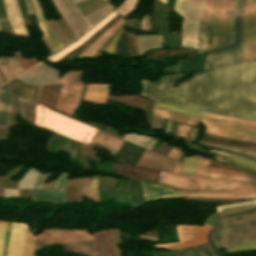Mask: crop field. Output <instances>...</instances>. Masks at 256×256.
<instances>
[{
  "label": "crop field",
  "mask_w": 256,
  "mask_h": 256,
  "mask_svg": "<svg viewBox=\"0 0 256 256\" xmlns=\"http://www.w3.org/2000/svg\"><path fill=\"white\" fill-rule=\"evenodd\" d=\"M126 22V21H125Z\"/></svg>",
  "instance_id": "a0ae1fb6"
},
{
  "label": "crop field",
  "mask_w": 256,
  "mask_h": 256,
  "mask_svg": "<svg viewBox=\"0 0 256 256\" xmlns=\"http://www.w3.org/2000/svg\"><path fill=\"white\" fill-rule=\"evenodd\" d=\"M193 248L198 252L200 256H216L212 247L209 245V242L193 246Z\"/></svg>",
  "instance_id": "b80d0937"
},
{
  "label": "crop field",
  "mask_w": 256,
  "mask_h": 256,
  "mask_svg": "<svg viewBox=\"0 0 256 256\" xmlns=\"http://www.w3.org/2000/svg\"><path fill=\"white\" fill-rule=\"evenodd\" d=\"M26 6H27L28 14L31 15L32 14V10H31V6H30V3H29V0H26Z\"/></svg>",
  "instance_id": "c3a83c6f"
},
{
  "label": "crop field",
  "mask_w": 256,
  "mask_h": 256,
  "mask_svg": "<svg viewBox=\"0 0 256 256\" xmlns=\"http://www.w3.org/2000/svg\"><path fill=\"white\" fill-rule=\"evenodd\" d=\"M2 84H4V83H3V81H2V79H1V77H0V86H1Z\"/></svg>",
  "instance_id": "1f1604b0"
},
{
  "label": "crop field",
  "mask_w": 256,
  "mask_h": 256,
  "mask_svg": "<svg viewBox=\"0 0 256 256\" xmlns=\"http://www.w3.org/2000/svg\"><path fill=\"white\" fill-rule=\"evenodd\" d=\"M9 23L15 34L27 35L16 0H3Z\"/></svg>",
  "instance_id": "4a817a6b"
},
{
  "label": "crop field",
  "mask_w": 256,
  "mask_h": 256,
  "mask_svg": "<svg viewBox=\"0 0 256 256\" xmlns=\"http://www.w3.org/2000/svg\"><path fill=\"white\" fill-rule=\"evenodd\" d=\"M154 106L159 107V108H163V109H167V110H171V111H175V112H179V113H183V114H187V115H191V116H195V117H199V118H201V116L203 114V113H199V112H195V111L175 107V106H172V105H168V104L158 102V101L155 102Z\"/></svg>",
  "instance_id": "1d83c4d3"
},
{
  "label": "crop field",
  "mask_w": 256,
  "mask_h": 256,
  "mask_svg": "<svg viewBox=\"0 0 256 256\" xmlns=\"http://www.w3.org/2000/svg\"><path fill=\"white\" fill-rule=\"evenodd\" d=\"M213 0H204L200 21H199V37L200 51L209 49V20L211 16Z\"/></svg>",
  "instance_id": "d9b57169"
},
{
  "label": "crop field",
  "mask_w": 256,
  "mask_h": 256,
  "mask_svg": "<svg viewBox=\"0 0 256 256\" xmlns=\"http://www.w3.org/2000/svg\"><path fill=\"white\" fill-rule=\"evenodd\" d=\"M122 25L108 38V40L97 50V52L92 57L99 58L101 56V54L104 52L105 48L108 46L110 41L118 33V31L122 28Z\"/></svg>",
  "instance_id": "25e5ab78"
},
{
  "label": "crop field",
  "mask_w": 256,
  "mask_h": 256,
  "mask_svg": "<svg viewBox=\"0 0 256 256\" xmlns=\"http://www.w3.org/2000/svg\"><path fill=\"white\" fill-rule=\"evenodd\" d=\"M198 132H199V129H196V128L193 129L192 134H191V136H190V138H189V141H188V143H187L188 146H189V144H190L191 141H194V140H195V138H196L197 135H198ZM191 143H192V142H191Z\"/></svg>",
  "instance_id": "db79e9e6"
},
{
  "label": "crop field",
  "mask_w": 256,
  "mask_h": 256,
  "mask_svg": "<svg viewBox=\"0 0 256 256\" xmlns=\"http://www.w3.org/2000/svg\"><path fill=\"white\" fill-rule=\"evenodd\" d=\"M254 240H256V236L241 238V239L229 241L227 243L216 246V249L219 250V249L227 248V247H230V246H233V245H236V244H240V243H244V242H248V241H254Z\"/></svg>",
  "instance_id": "03da06ac"
},
{
  "label": "crop field",
  "mask_w": 256,
  "mask_h": 256,
  "mask_svg": "<svg viewBox=\"0 0 256 256\" xmlns=\"http://www.w3.org/2000/svg\"><path fill=\"white\" fill-rule=\"evenodd\" d=\"M189 128V126H183L179 124L175 136L178 138H183V140L185 141L189 132Z\"/></svg>",
  "instance_id": "73cf0c24"
},
{
  "label": "crop field",
  "mask_w": 256,
  "mask_h": 256,
  "mask_svg": "<svg viewBox=\"0 0 256 256\" xmlns=\"http://www.w3.org/2000/svg\"><path fill=\"white\" fill-rule=\"evenodd\" d=\"M80 121H81V120H80ZM82 122H84V121H82ZM85 123H87V124H89V125H92V126H94V127H97V128H99V129L103 130V128H102V127H100V126H98V125L94 124V123H93V121L85 122ZM95 123H97V122H95ZM97 124H99V125H101V126H103V127H104V125H102V124H100V123H97Z\"/></svg>",
  "instance_id": "c39391a2"
},
{
  "label": "crop field",
  "mask_w": 256,
  "mask_h": 256,
  "mask_svg": "<svg viewBox=\"0 0 256 256\" xmlns=\"http://www.w3.org/2000/svg\"><path fill=\"white\" fill-rule=\"evenodd\" d=\"M106 97H107V96L85 94L83 100L89 101V102H92V103H101V104H105Z\"/></svg>",
  "instance_id": "425ffa30"
},
{
  "label": "crop field",
  "mask_w": 256,
  "mask_h": 256,
  "mask_svg": "<svg viewBox=\"0 0 256 256\" xmlns=\"http://www.w3.org/2000/svg\"><path fill=\"white\" fill-rule=\"evenodd\" d=\"M35 125L89 143L96 129L37 105Z\"/></svg>",
  "instance_id": "f4fd0767"
},
{
  "label": "crop field",
  "mask_w": 256,
  "mask_h": 256,
  "mask_svg": "<svg viewBox=\"0 0 256 256\" xmlns=\"http://www.w3.org/2000/svg\"><path fill=\"white\" fill-rule=\"evenodd\" d=\"M122 143L123 140L97 130L90 145L104 147L112 154H116Z\"/></svg>",
  "instance_id": "214f88e0"
},
{
  "label": "crop field",
  "mask_w": 256,
  "mask_h": 256,
  "mask_svg": "<svg viewBox=\"0 0 256 256\" xmlns=\"http://www.w3.org/2000/svg\"><path fill=\"white\" fill-rule=\"evenodd\" d=\"M115 15H116V13H114V12L109 14L105 19H103L99 24H97L93 29H91L87 34H85L83 37H81L77 42L75 41L76 43L59 51L58 53H56L55 55L50 57L48 60L53 61V60L65 55L66 53H68L70 50H72L74 47H76L78 44H80L82 41H84L87 37H89L92 33H94L97 29H99L101 26H103L105 23H107Z\"/></svg>",
  "instance_id": "730fd06b"
},
{
  "label": "crop field",
  "mask_w": 256,
  "mask_h": 256,
  "mask_svg": "<svg viewBox=\"0 0 256 256\" xmlns=\"http://www.w3.org/2000/svg\"><path fill=\"white\" fill-rule=\"evenodd\" d=\"M245 0H238L233 20L234 43L204 52V70L241 63V20Z\"/></svg>",
  "instance_id": "412701ff"
},
{
  "label": "crop field",
  "mask_w": 256,
  "mask_h": 256,
  "mask_svg": "<svg viewBox=\"0 0 256 256\" xmlns=\"http://www.w3.org/2000/svg\"><path fill=\"white\" fill-rule=\"evenodd\" d=\"M8 91L29 100L34 90L25 88H15L8 89Z\"/></svg>",
  "instance_id": "5d738f31"
},
{
  "label": "crop field",
  "mask_w": 256,
  "mask_h": 256,
  "mask_svg": "<svg viewBox=\"0 0 256 256\" xmlns=\"http://www.w3.org/2000/svg\"><path fill=\"white\" fill-rule=\"evenodd\" d=\"M182 74L141 80V95L207 113L256 120V61L221 67L170 86Z\"/></svg>",
  "instance_id": "8a807250"
},
{
  "label": "crop field",
  "mask_w": 256,
  "mask_h": 256,
  "mask_svg": "<svg viewBox=\"0 0 256 256\" xmlns=\"http://www.w3.org/2000/svg\"><path fill=\"white\" fill-rule=\"evenodd\" d=\"M122 29L119 31V33L114 37V39L111 41V43L109 44V46L106 48L105 51L109 52L110 54L114 55V47H115V43L117 38L119 37L120 33H121Z\"/></svg>",
  "instance_id": "0fb4a251"
},
{
  "label": "crop field",
  "mask_w": 256,
  "mask_h": 256,
  "mask_svg": "<svg viewBox=\"0 0 256 256\" xmlns=\"http://www.w3.org/2000/svg\"><path fill=\"white\" fill-rule=\"evenodd\" d=\"M91 200L99 202L97 190L90 189Z\"/></svg>",
  "instance_id": "7b73153f"
},
{
  "label": "crop field",
  "mask_w": 256,
  "mask_h": 256,
  "mask_svg": "<svg viewBox=\"0 0 256 256\" xmlns=\"http://www.w3.org/2000/svg\"><path fill=\"white\" fill-rule=\"evenodd\" d=\"M208 160L209 159H206L202 156L200 157L199 164H198L197 170H196L194 175L207 176V177L226 179V180H235V181H245V182H254V183H256V179H248V178H240V177H232V176H224V175L204 173L206 165L208 163Z\"/></svg>",
  "instance_id": "4177f3b9"
},
{
  "label": "crop field",
  "mask_w": 256,
  "mask_h": 256,
  "mask_svg": "<svg viewBox=\"0 0 256 256\" xmlns=\"http://www.w3.org/2000/svg\"><path fill=\"white\" fill-rule=\"evenodd\" d=\"M181 164L172 173L161 171L158 183L174 188L185 196L214 198L256 197V185L180 175Z\"/></svg>",
  "instance_id": "ac0d7876"
},
{
  "label": "crop field",
  "mask_w": 256,
  "mask_h": 256,
  "mask_svg": "<svg viewBox=\"0 0 256 256\" xmlns=\"http://www.w3.org/2000/svg\"><path fill=\"white\" fill-rule=\"evenodd\" d=\"M252 235H256V206L219 214L209 237L216 246L229 240Z\"/></svg>",
  "instance_id": "34b2d1b8"
},
{
  "label": "crop field",
  "mask_w": 256,
  "mask_h": 256,
  "mask_svg": "<svg viewBox=\"0 0 256 256\" xmlns=\"http://www.w3.org/2000/svg\"><path fill=\"white\" fill-rule=\"evenodd\" d=\"M251 205H256V200L235 203V204L221 205V206H217L216 209H217V212H220V211H224V210L247 207V206H251Z\"/></svg>",
  "instance_id": "e1f06a70"
},
{
  "label": "crop field",
  "mask_w": 256,
  "mask_h": 256,
  "mask_svg": "<svg viewBox=\"0 0 256 256\" xmlns=\"http://www.w3.org/2000/svg\"><path fill=\"white\" fill-rule=\"evenodd\" d=\"M185 3H186V0H176L173 11H175L180 16H182L184 7H185Z\"/></svg>",
  "instance_id": "1f2cbd36"
},
{
  "label": "crop field",
  "mask_w": 256,
  "mask_h": 256,
  "mask_svg": "<svg viewBox=\"0 0 256 256\" xmlns=\"http://www.w3.org/2000/svg\"><path fill=\"white\" fill-rule=\"evenodd\" d=\"M110 85L88 84L85 93L107 94Z\"/></svg>",
  "instance_id": "0bd39190"
},
{
  "label": "crop field",
  "mask_w": 256,
  "mask_h": 256,
  "mask_svg": "<svg viewBox=\"0 0 256 256\" xmlns=\"http://www.w3.org/2000/svg\"><path fill=\"white\" fill-rule=\"evenodd\" d=\"M141 30H150V16L149 14H145L142 23H141Z\"/></svg>",
  "instance_id": "dbb93151"
},
{
  "label": "crop field",
  "mask_w": 256,
  "mask_h": 256,
  "mask_svg": "<svg viewBox=\"0 0 256 256\" xmlns=\"http://www.w3.org/2000/svg\"><path fill=\"white\" fill-rule=\"evenodd\" d=\"M35 238L27 233L24 256H32Z\"/></svg>",
  "instance_id": "b54c1fbb"
},
{
  "label": "crop field",
  "mask_w": 256,
  "mask_h": 256,
  "mask_svg": "<svg viewBox=\"0 0 256 256\" xmlns=\"http://www.w3.org/2000/svg\"><path fill=\"white\" fill-rule=\"evenodd\" d=\"M85 71H71L62 78V89L56 105V110L71 115L75 108L83 86L82 74Z\"/></svg>",
  "instance_id": "d8731c3e"
},
{
  "label": "crop field",
  "mask_w": 256,
  "mask_h": 256,
  "mask_svg": "<svg viewBox=\"0 0 256 256\" xmlns=\"http://www.w3.org/2000/svg\"><path fill=\"white\" fill-rule=\"evenodd\" d=\"M18 196V191L13 189H4V197Z\"/></svg>",
  "instance_id": "0765c3eb"
},
{
  "label": "crop field",
  "mask_w": 256,
  "mask_h": 256,
  "mask_svg": "<svg viewBox=\"0 0 256 256\" xmlns=\"http://www.w3.org/2000/svg\"><path fill=\"white\" fill-rule=\"evenodd\" d=\"M205 172L224 174V175H232V176H240V177H248V178H256L255 175H252V174H249L246 172H237V171L223 170V169L210 168V167H207Z\"/></svg>",
  "instance_id": "d32e631a"
},
{
  "label": "crop field",
  "mask_w": 256,
  "mask_h": 256,
  "mask_svg": "<svg viewBox=\"0 0 256 256\" xmlns=\"http://www.w3.org/2000/svg\"><path fill=\"white\" fill-rule=\"evenodd\" d=\"M132 19H130V21L128 22L127 26H131Z\"/></svg>",
  "instance_id": "f0312440"
},
{
  "label": "crop field",
  "mask_w": 256,
  "mask_h": 256,
  "mask_svg": "<svg viewBox=\"0 0 256 256\" xmlns=\"http://www.w3.org/2000/svg\"><path fill=\"white\" fill-rule=\"evenodd\" d=\"M212 226L176 225L179 242L169 244H156L154 247L166 249H181L183 247L207 242V232Z\"/></svg>",
  "instance_id": "3316defc"
},
{
  "label": "crop field",
  "mask_w": 256,
  "mask_h": 256,
  "mask_svg": "<svg viewBox=\"0 0 256 256\" xmlns=\"http://www.w3.org/2000/svg\"><path fill=\"white\" fill-rule=\"evenodd\" d=\"M215 143H219V142H215ZM219 144H222V143H219ZM224 145H226V144H224ZM229 146H234V145H229ZM234 147H239V148L250 149V150H255L256 151V148H247V147H242V146H234Z\"/></svg>",
  "instance_id": "7312dd0a"
},
{
  "label": "crop field",
  "mask_w": 256,
  "mask_h": 256,
  "mask_svg": "<svg viewBox=\"0 0 256 256\" xmlns=\"http://www.w3.org/2000/svg\"><path fill=\"white\" fill-rule=\"evenodd\" d=\"M32 196L34 198V201H39L38 190H33Z\"/></svg>",
  "instance_id": "ade564c9"
},
{
  "label": "crop field",
  "mask_w": 256,
  "mask_h": 256,
  "mask_svg": "<svg viewBox=\"0 0 256 256\" xmlns=\"http://www.w3.org/2000/svg\"><path fill=\"white\" fill-rule=\"evenodd\" d=\"M247 249H256V241L236 245V246L227 248L226 250H227V252H231V251L247 250Z\"/></svg>",
  "instance_id": "d23c7cc5"
},
{
  "label": "crop field",
  "mask_w": 256,
  "mask_h": 256,
  "mask_svg": "<svg viewBox=\"0 0 256 256\" xmlns=\"http://www.w3.org/2000/svg\"><path fill=\"white\" fill-rule=\"evenodd\" d=\"M0 70L7 81L23 72L15 57L7 59L0 58Z\"/></svg>",
  "instance_id": "dafd665d"
},
{
  "label": "crop field",
  "mask_w": 256,
  "mask_h": 256,
  "mask_svg": "<svg viewBox=\"0 0 256 256\" xmlns=\"http://www.w3.org/2000/svg\"><path fill=\"white\" fill-rule=\"evenodd\" d=\"M112 9H113V6L107 4V5L103 6L102 8L96 10L95 12L91 13L90 15L84 17V19L86 20V22L89 25H92L98 19H100L102 16H104L106 13H108Z\"/></svg>",
  "instance_id": "120bbe31"
},
{
  "label": "crop field",
  "mask_w": 256,
  "mask_h": 256,
  "mask_svg": "<svg viewBox=\"0 0 256 256\" xmlns=\"http://www.w3.org/2000/svg\"><path fill=\"white\" fill-rule=\"evenodd\" d=\"M27 225L12 223L7 256H22Z\"/></svg>",
  "instance_id": "cbeb9de0"
},
{
  "label": "crop field",
  "mask_w": 256,
  "mask_h": 256,
  "mask_svg": "<svg viewBox=\"0 0 256 256\" xmlns=\"http://www.w3.org/2000/svg\"><path fill=\"white\" fill-rule=\"evenodd\" d=\"M138 1L139 0H125L115 11L126 16L136 7Z\"/></svg>",
  "instance_id": "5866460e"
},
{
  "label": "crop field",
  "mask_w": 256,
  "mask_h": 256,
  "mask_svg": "<svg viewBox=\"0 0 256 256\" xmlns=\"http://www.w3.org/2000/svg\"><path fill=\"white\" fill-rule=\"evenodd\" d=\"M104 2H105V1H104ZM102 3H103V2H102ZM100 4H101V3H100ZM105 4H107V2H105V3L101 4V5L98 4L99 6L96 5L97 7L94 6L95 8H92V7H91L92 9L89 8L90 10L87 9L88 11L85 10L86 12L83 11L84 13L81 12V13H82V16H85V15L91 13L92 11L98 9L99 7H101V6L105 5Z\"/></svg>",
  "instance_id": "0f1d7ab4"
},
{
  "label": "crop field",
  "mask_w": 256,
  "mask_h": 256,
  "mask_svg": "<svg viewBox=\"0 0 256 256\" xmlns=\"http://www.w3.org/2000/svg\"><path fill=\"white\" fill-rule=\"evenodd\" d=\"M180 152H181L180 148L172 147L171 151L168 154V157L177 160Z\"/></svg>",
  "instance_id": "447ae74e"
},
{
  "label": "crop field",
  "mask_w": 256,
  "mask_h": 256,
  "mask_svg": "<svg viewBox=\"0 0 256 256\" xmlns=\"http://www.w3.org/2000/svg\"><path fill=\"white\" fill-rule=\"evenodd\" d=\"M93 239L91 234L85 230H62V229H43V234L37 235L36 248L56 242H71Z\"/></svg>",
  "instance_id": "28ad6ade"
},
{
  "label": "crop field",
  "mask_w": 256,
  "mask_h": 256,
  "mask_svg": "<svg viewBox=\"0 0 256 256\" xmlns=\"http://www.w3.org/2000/svg\"><path fill=\"white\" fill-rule=\"evenodd\" d=\"M98 177L99 176H93V178H92V180L90 182V187H95L96 188Z\"/></svg>",
  "instance_id": "ae633e8c"
},
{
  "label": "crop field",
  "mask_w": 256,
  "mask_h": 256,
  "mask_svg": "<svg viewBox=\"0 0 256 256\" xmlns=\"http://www.w3.org/2000/svg\"><path fill=\"white\" fill-rule=\"evenodd\" d=\"M67 178V174L62 173L56 183L55 188H64L65 180Z\"/></svg>",
  "instance_id": "9d1cf04e"
},
{
  "label": "crop field",
  "mask_w": 256,
  "mask_h": 256,
  "mask_svg": "<svg viewBox=\"0 0 256 256\" xmlns=\"http://www.w3.org/2000/svg\"><path fill=\"white\" fill-rule=\"evenodd\" d=\"M170 123H171V121L169 120V121H168V124H167V127H166V130H165V133H168L169 127H170Z\"/></svg>",
  "instance_id": "180be81f"
},
{
  "label": "crop field",
  "mask_w": 256,
  "mask_h": 256,
  "mask_svg": "<svg viewBox=\"0 0 256 256\" xmlns=\"http://www.w3.org/2000/svg\"><path fill=\"white\" fill-rule=\"evenodd\" d=\"M153 115L157 117L167 118V119H174V120L184 122L194 126H196L199 121L198 118H194V117H190V116H186V115H182V114H178V113H174V112H170V111H166V110H162L154 107H153Z\"/></svg>",
  "instance_id": "a9b5d70f"
},
{
  "label": "crop field",
  "mask_w": 256,
  "mask_h": 256,
  "mask_svg": "<svg viewBox=\"0 0 256 256\" xmlns=\"http://www.w3.org/2000/svg\"><path fill=\"white\" fill-rule=\"evenodd\" d=\"M256 60V0H246L242 20V63Z\"/></svg>",
  "instance_id": "e52e79f7"
},
{
  "label": "crop field",
  "mask_w": 256,
  "mask_h": 256,
  "mask_svg": "<svg viewBox=\"0 0 256 256\" xmlns=\"http://www.w3.org/2000/svg\"><path fill=\"white\" fill-rule=\"evenodd\" d=\"M190 148H194V149H197V150L202 151V152H204V153H208V154L216 155V156H217V154L209 153V152L205 151L204 149H202L200 146H198V145H196V144L190 145Z\"/></svg>",
  "instance_id": "e1d0b9f6"
},
{
  "label": "crop field",
  "mask_w": 256,
  "mask_h": 256,
  "mask_svg": "<svg viewBox=\"0 0 256 256\" xmlns=\"http://www.w3.org/2000/svg\"><path fill=\"white\" fill-rule=\"evenodd\" d=\"M5 226H6V222H0V256H1V250H2ZM10 226H11V223L7 222L5 238H4V244H3V250H2V256H6V253H7L8 239H9V233H10Z\"/></svg>",
  "instance_id": "d3111659"
},
{
  "label": "crop field",
  "mask_w": 256,
  "mask_h": 256,
  "mask_svg": "<svg viewBox=\"0 0 256 256\" xmlns=\"http://www.w3.org/2000/svg\"><path fill=\"white\" fill-rule=\"evenodd\" d=\"M211 151L214 152V153L220 154L222 156H225V157L233 160L235 163H237L241 166H244L246 168L249 167L253 170H256V162L255 161H251V160L241 158V157H238V156H235V155L226 154V153H222V152H218V151H214V150H211Z\"/></svg>",
  "instance_id": "750c4746"
},
{
  "label": "crop field",
  "mask_w": 256,
  "mask_h": 256,
  "mask_svg": "<svg viewBox=\"0 0 256 256\" xmlns=\"http://www.w3.org/2000/svg\"><path fill=\"white\" fill-rule=\"evenodd\" d=\"M174 160L153 153L145 149L137 165L156 168L164 171H172Z\"/></svg>",
  "instance_id": "5142ce71"
},
{
  "label": "crop field",
  "mask_w": 256,
  "mask_h": 256,
  "mask_svg": "<svg viewBox=\"0 0 256 256\" xmlns=\"http://www.w3.org/2000/svg\"><path fill=\"white\" fill-rule=\"evenodd\" d=\"M163 119L152 117V127L153 129H162Z\"/></svg>",
  "instance_id": "1d79db26"
},
{
  "label": "crop field",
  "mask_w": 256,
  "mask_h": 256,
  "mask_svg": "<svg viewBox=\"0 0 256 256\" xmlns=\"http://www.w3.org/2000/svg\"><path fill=\"white\" fill-rule=\"evenodd\" d=\"M203 0H187L184 15L182 40L198 44L197 26Z\"/></svg>",
  "instance_id": "d1516ede"
},
{
  "label": "crop field",
  "mask_w": 256,
  "mask_h": 256,
  "mask_svg": "<svg viewBox=\"0 0 256 256\" xmlns=\"http://www.w3.org/2000/svg\"><path fill=\"white\" fill-rule=\"evenodd\" d=\"M123 138L126 139V140H128V141H130V142H133V143H135V144H138V145H140V146H143V144H144V142H145V140H146L147 137H144V136H136V135H134V134H131V135H124ZM149 139H150V138L148 137L147 140H146V142H145V144H144V146H143L144 148L146 147V145H147Z\"/></svg>",
  "instance_id": "c21b1889"
},
{
  "label": "crop field",
  "mask_w": 256,
  "mask_h": 256,
  "mask_svg": "<svg viewBox=\"0 0 256 256\" xmlns=\"http://www.w3.org/2000/svg\"><path fill=\"white\" fill-rule=\"evenodd\" d=\"M163 3H165V0H161Z\"/></svg>",
  "instance_id": "819c52e7"
},
{
  "label": "crop field",
  "mask_w": 256,
  "mask_h": 256,
  "mask_svg": "<svg viewBox=\"0 0 256 256\" xmlns=\"http://www.w3.org/2000/svg\"><path fill=\"white\" fill-rule=\"evenodd\" d=\"M142 183H143L147 201L153 200V199L175 198L178 196H183L180 193L166 186L151 184L143 181Z\"/></svg>",
  "instance_id": "bc2a9ffb"
},
{
  "label": "crop field",
  "mask_w": 256,
  "mask_h": 256,
  "mask_svg": "<svg viewBox=\"0 0 256 256\" xmlns=\"http://www.w3.org/2000/svg\"><path fill=\"white\" fill-rule=\"evenodd\" d=\"M204 117L205 118L216 119V120L227 121V122L238 123V124L250 125V126H255L256 127V123H254V122H248V121L237 120V119L226 118V117H220V116L209 115V114H205Z\"/></svg>",
  "instance_id": "c035e120"
},
{
  "label": "crop field",
  "mask_w": 256,
  "mask_h": 256,
  "mask_svg": "<svg viewBox=\"0 0 256 256\" xmlns=\"http://www.w3.org/2000/svg\"><path fill=\"white\" fill-rule=\"evenodd\" d=\"M97 1H100V0H85V1H82V2L75 3V6L78 8V10H80V9L90 5V4H93V3L97 2ZM102 1H104V0H102ZM102 1H100V2H102ZM100 2H98V3H100ZM98 3L90 5V6L86 7V8H84V9L80 10L79 12H81V11L91 7V6H94V5L98 4Z\"/></svg>",
  "instance_id": "89e229c0"
},
{
  "label": "crop field",
  "mask_w": 256,
  "mask_h": 256,
  "mask_svg": "<svg viewBox=\"0 0 256 256\" xmlns=\"http://www.w3.org/2000/svg\"><path fill=\"white\" fill-rule=\"evenodd\" d=\"M182 47L197 48L196 45H194V44H192V43L184 42V41H182Z\"/></svg>",
  "instance_id": "d14b1444"
},
{
  "label": "crop field",
  "mask_w": 256,
  "mask_h": 256,
  "mask_svg": "<svg viewBox=\"0 0 256 256\" xmlns=\"http://www.w3.org/2000/svg\"><path fill=\"white\" fill-rule=\"evenodd\" d=\"M236 0H214L210 20L211 48L231 41V20Z\"/></svg>",
  "instance_id": "dd49c442"
},
{
  "label": "crop field",
  "mask_w": 256,
  "mask_h": 256,
  "mask_svg": "<svg viewBox=\"0 0 256 256\" xmlns=\"http://www.w3.org/2000/svg\"><path fill=\"white\" fill-rule=\"evenodd\" d=\"M123 23L122 17L113 24L107 31H105L99 38H97L91 45H89L77 57L83 58L85 56L91 57L96 50L107 40V38Z\"/></svg>",
  "instance_id": "92a150f3"
},
{
  "label": "crop field",
  "mask_w": 256,
  "mask_h": 256,
  "mask_svg": "<svg viewBox=\"0 0 256 256\" xmlns=\"http://www.w3.org/2000/svg\"><path fill=\"white\" fill-rule=\"evenodd\" d=\"M42 40V42L45 44V46L48 48V50L50 51V53L52 54L53 51L52 49L50 48V46L48 45V43L46 42V40L44 39V37L40 38Z\"/></svg>",
  "instance_id": "c5b07064"
},
{
  "label": "crop field",
  "mask_w": 256,
  "mask_h": 256,
  "mask_svg": "<svg viewBox=\"0 0 256 256\" xmlns=\"http://www.w3.org/2000/svg\"><path fill=\"white\" fill-rule=\"evenodd\" d=\"M40 201H51L54 203H60L65 201L63 189L61 190H39Z\"/></svg>",
  "instance_id": "ae1a2a85"
},
{
  "label": "crop field",
  "mask_w": 256,
  "mask_h": 256,
  "mask_svg": "<svg viewBox=\"0 0 256 256\" xmlns=\"http://www.w3.org/2000/svg\"><path fill=\"white\" fill-rule=\"evenodd\" d=\"M198 143H201V144H204L207 146H211V147H215V148H219V149H223V150H228V151L256 157V152H252V151L239 150V149H234V148H230V147H226V146H222V145H218V144H213V143L202 142V141H198Z\"/></svg>",
  "instance_id": "028f5c9d"
},
{
  "label": "crop field",
  "mask_w": 256,
  "mask_h": 256,
  "mask_svg": "<svg viewBox=\"0 0 256 256\" xmlns=\"http://www.w3.org/2000/svg\"><path fill=\"white\" fill-rule=\"evenodd\" d=\"M162 36H139L137 37L138 52L141 55L143 52L161 47Z\"/></svg>",
  "instance_id": "eef30255"
},
{
  "label": "crop field",
  "mask_w": 256,
  "mask_h": 256,
  "mask_svg": "<svg viewBox=\"0 0 256 256\" xmlns=\"http://www.w3.org/2000/svg\"><path fill=\"white\" fill-rule=\"evenodd\" d=\"M0 31H1V29H0Z\"/></svg>",
  "instance_id": "c821d689"
},
{
  "label": "crop field",
  "mask_w": 256,
  "mask_h": 256,
  "mask_svg": "<svg viewBox=\"0 0 256 256\" xmlns=\"http://www.w3.org/2000/svg\"><path fill=\"white\" fill-rule=\"evenodd\" d=\"M155 140H156V138L152 137L147 147L151 149L153 144H154V142H155Z\"/></svg>",
  "instance_id": "fb207236"
},
{
  "label": "crop field",
  "mask_w": 256,
  "mask_h": 256,
  "mask_svg": "<svg viewBox=\"0 0 256 256\" xmlns=\"http://www.w3.org/2000/svg\"><path fill=\"white\" fill-rule=\"evenodd\" d=\"M12 95L0 91V126H9Z\"/></svg>",
  "instance_id": "00972430"
},
{
  "label": "crop field",
  "mask_w": 256,
  "mask_h": 256,
  "mask_svg": "<svg viewBox=\"0 0 256 256\" xmlns=\"http://www.w3.org/2000/svg\"><path fill=\"white\" fill-rule=\"evenodd\" d=\"M43 63V62H42ZM59 72L43 63L38 67H33L15 79L32 85L62 84L58 78Z\"/></svg>",
  "instance_id": "22f410ed"
},
{
  "label": "crop field",
  "mask_w": 256,
  "mask_h": 256,
  "mask_svg": "<svg viewBox=\"0 0 256 256\" xmlns=\"http://www.w3.org/2000/svg\"><path fill=\"white\" fill-rule=\"evenodd\" d=\"M31 3L33 6V10H34L38 25H39V23H41V25L43 27V30H44L43 34H44L45 38L48 40V42L51 44V46L54 48L55 51L60 49L63 45L59 41V39L56 37V35L53 33L45 15L41 9L39 1L31 0ZM42 27L40 26L41 30H42Z\"/></svg>",
  "instance_id": "733c2abd"
},
{
  "label": "crop field",
  "mask_w": 256,
  "mask_h": 256,
  "mask_svg": "<svg viewBox=\"0 0 256 256\" xmlns=\"http://www.w3.org/2000/svg\"><path fill=\"white\" fill-rule=\"evenodd\" d=\"M199 157L200 156H198V155H195L190 158L185 157V159L182 163L183 167H182L181 173L193 175L196 170Z\"/></svg>",
  "instance_id": "bd1437ed"
},
{
  "label": "crop field",
  "mask_w": 256,
  "mask_h": 256,
  "mask_svg": "<svg viewBox=\"0 0 256 256\" xmlns=\"http://www.w3.org/2000/svg\"><path fill=\"white\" fill-rule=\"evenodd\" d=\"M43 176H44V175L38 173V175H37V177H36V179H35V183H34L33 188H38V187H39Z\"/></svg>",
  "instance_id": "78b8030e"
},
{
  "label": "crop field",
  "mask_w": 256,
  "mask_h": 256,
  "mask_svg": "<svg viewBox=\"0 0 256 256\" xmlns=\"http://www.w3.org/2000/svg\"><path fill=\"white\" fill-rule=\"evenodd\" d=\"M207 134L256 143V128L203 118Z\"/></svg>",
  "instance_id": "5a996713"
}]
</instances>
